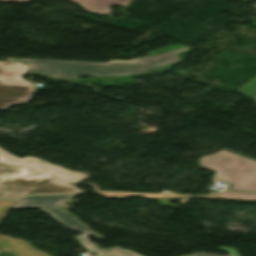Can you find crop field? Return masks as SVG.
Instances as JSON below:
<instances>
[{"mask_svg": "<svg viewBox=\"0 0 256 256\" xmlns=\"http://www.w3.org/2000/svg\"><path fill=\"white\" fill-rule=\"evenodd\" d=\"M198 161L216 172L214 178L229 183L227 189L256 191V161L223 150Z\"/></svg>", "mask_w": 256, "mask_h": 256, "instance_id": "obj_4", "label": "crop field"}, {"mask_svg": "<svg viewBox=\"0 0 256 256\" xmlns=\"http://www.w3.org/2000/svg\"><path fill=\"white\" fill-rule=\"evenodd\" d=\"M3 2H27L29 0H2ZM81 4L86 11L108 15L113 10L109 6L116 4L126 6L130 0H72Z\"/></svg>", "mask_w": 256, "mask_h": 256, "instance_id": "obj_7", "label": "crop field"}, {"mask_svg": "<svg viewBox=\"0 0 256 256\" xmlns=\"http://www.w3.org/2000/svg\"><path fill=\"white\" fill-rule=\"evenodd\" d=\"M9 161H15L14 159L10 158Z\"/></svg>", "mask_w": 256, "mask_h": 256, "instance_id": "obj_15", "label": "crop field"}, {"mask_svg": "<svg viewBox=\"0 0 256 256\" xmlns=\"http://www.w3.org/2000/svg\"><path fill=\"white\" fill-rule=\"evenodd\" d=\"M27 167L29 168V171H35V170H33V167H35V166L27 163ZM35 172H38V171H35Z\"/></svg>", "mask_w": 256, "mask_h": 256, "instance_id": "obj_11", "label": "crop field"}, {"mask_svg": "<svg viewBox=\"0 0 256 256\" xmlns=\"http://www.w3.org/2000/svg\"><path fill=\"white\" fill-rule=\"evenodd\" d=\"M26 72L17 62H0V109L30 100L35 88L20 77Z\"/></svg>", "mask_w": 256, "mask_h": 256, "instance_id": "obj_5", "label": "crop field"}, {"mask_svg": "<svg viewBox=\"0 0 256 256\" xmlns=\"http://www.w3.org/2000/svg\"><path fill=\"white\" fill-rule=\"evenodd\" d=\"M1 1V0H0Z\"/></svg>", "mask_w": 256, "mask_h": 256, "instance_id": "obj_16", "label": "crop field"}, {"mask_svg": "<svg viewBox=\"0 0 256 256\" xmlns=\"http://www.w3.org/2000/svg\"><path fill=\"white\" fill-rule=\"evenodd\" d=\"M187 47L167 53L140 57L132 60H110L107 63L19 59L33 71L50 77L76 79L78 76H120L144 73L147 69L175 63L179 60L176 53Z\"/></svg>", "mask_w": 256, "mask_h": 256, "instance_id": "obj_2", "label": "crop field"}, {"mask_svg": "<svg viewBox=\"0 0 256 256\" xmlns=\"http://www.w3.org/2000/svg\"><path fill=\"white\" fill-rule=\"evenodd\" d=\"M101 196L125 197L127 195H141L146 197H165V195H142L133 193H117V192H95Z\"/></svg>", "mask_w": 256, "mask_h": 256, "instance_id": "obj_10", "label": "crop field"}, {"mask_svg": "<svg viewBox=\"0 0 256 256\" xmlns=\"http://www.w3.org/2000/svg\"><path fill=\"white\" fill-rule=\"evenodd\" d=\"M235 92L251 98L256 94V75L239 87Z\"/></svg>", "mask_w": 256, "mask_h": 256, "instance_id": "obj_9", "label": "crop field"}, {"mask_svg": "<svg viewBox=\"0 0 256 256\" xmlns=\"http://www.w3.org/2000/svg\"><path fill=\"white\" fill-rule=\"evenodd\" d=\"M14 202L0 201V225L9 212ZM0 249L14 256H48L32 247L24 240L0 235Z\"/></svg>", "mask_w": 256, "mask_h": 256, "instance_id": "obj_6", "label": "crop field"}, {"mask_svg": "<svg viewBox=\"0 0 256 256\" xmlns=\"http://www.w3.org/2000/svg\"><path fill=\"white\" fill-rule=\"evenodd\" d=\"M214 198H228V199H242V200H256V193L252 192H236L226 191L214 196H207Z\"/></svg>", "mask_w": 256, "mask_h": 256, "instance_id": "obj_8", "label": "crop field"}, {"mask_svg": "<svg viewBox=\"0 0 256 256\" xmlns=\"http://www.w3.org/2000/svg\"><path fill=\"white\" fill-rule=\"evenodd\" d=\"M75 195H62V196H39V197H24L15 202L13 207H38L43 212L51 215L55 220L61 223L63 226L74 228L75 230L82 232L83 234L76 237L84 248L89 251L95 252L98 256H141L135 252L122 250L119 247H113L109 249L100 250L95 244H92L87 239V235H93L97 239H103V237L97 235L92 230L87 228L81 222L77 221L70 214L64 211L60 205L72 198ZM220 250L227 251L230 256H239L235 250L222 247ZM186 256H218V255H205L202 253H195Z\"/></svg>", "mask_w": 256, "mask_h": 256, "instance_id": "obj_3", "label": "crop field"}, {"mask_svg": "<svg viewBox=\"0 0 256 256\" xmlns=\"http://www.w3.org/2000/svg\"><path fill=\"white\" fill-rule=\"evenodd\" d=\"M0 256H11V255L6 253V252H4V251H2V252H0Z\"/></svg>", "mask_w": 256, "mask_h": 256, "instance_id": "obj_12", "label": "crop field"}, {"mask_svg": "<svg viewBox=\"0 0 256 256\" xmlns=\"http://www.w3.org/2000/svg\"><path fill=\"white\" fill-rule=\"evenodd\" d=\"M10 157L16 161L9 162ZM26 161L41 168L39 172H28ZM87 177L34 157L20 159L0 148V199H15L23 194L82 192L68 184Z\"/></svg>", "mask_w": 256, "mask_h": 256, "instance_id": "obj_1", "label": "crop field"}, {"mask_svg": "<svg viewBox=\"0 0 256 256\" xmlns=\"http://www.w3.org/2000/svg\"><path fill=\"white\" fill-rule=\"evenodd\" d=\"M167 197H186V196H180V195H170V194H167Z\"/></svg>", "mask_w": 256, "mask_h": 256, "instance_id": "obj_13", "label": "crop field"}, {"mask_svg": "<svg viewBox=\"0 0 256 256\" xmlns=\"http://www.w3.org/2000/svg\"><path fill=\"white\" fill-rule=\"evenodd\" d=\"M251 99L255 100L256 101V95L254 97H252Z\"/></svg>", "mask_w": 256, "mask_h": 256, "instance_id": "obj_14", "label": "crop field"}]
</instances>
